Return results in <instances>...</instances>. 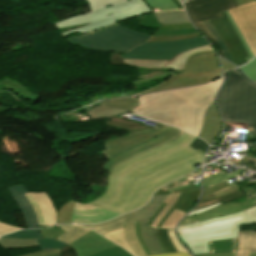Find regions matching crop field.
I'll return each mask as SVG.
<instances>
[{
	"label": "crop field",
	"instance_id": "1",
	"mask_svg": "<svg viewBox=\"0 0 256 256\" xmlns=\"http://www.w3.org/2000/svg\"><path fill=\"white\" fill-rule=\"evenodd\" d=\"M195 138L184 132L176 141L119 163L109 173L105 195L89 204L120 213L141 207L156 189L195 170L193 165L203 162L204 155L188 146Z\"/></svg>",
	"mask_w": 256,
	"mask_h": 256
},
{
	"label": "crop field",
	"instance_id": "2",
	"mask_svg": "<svg viewBox=\"0 0 256 256\" xmlns=\"http://www.w3.org/2000/svg\"><path fill=\"white\" fill-rule=\"evenodd\" d=\"M221 82L222 77L201 86L139 96L140 105L133 112L198 135L204 111Z\"/></svg>",
	"mask_w": 256,
	"mask_h": 256
},
{
	"label": "crop field",
	"instance_id": "3",
	"mask_svg": "<svg viewBox=\"0 0 256 256\" xmlns=\"http://www.w3.org/2000/svg\"><path fill=\"white\" fill-rule=\"evenodd\" d=\"M217 100L225 122L248 123V131L256 134V85L242 72L236 69L226 75Z\"/></svg>",
	"mask_w": 256,
	"mask_h": 256
},
{
	"label": "crop field",
	"instance_id": "4",
	"mask_svg": "<svg viewBox=\"0 0 256 256\" xmlns=\"http://www.w3.org/2000/svg\"><path fill=\"white\" fill-rule=\"evenodd\" d=\"M241 223H256V206L232 215L178 227V233L193 254L208 253L207 241L237 238Z\"/></svg>",
	"mask_w": 256,
	"mask_h": 256
},
{
	"label": "crop field",
	"instance_id": "5",
	"mask_svg": "<svg viewBox=\"0 0 256 256\" xmlns=\"http://www.w3.org/2000/svg\"><path fill=\"white\" fill-rule=\"evenodd\" d=\"M91 12L74 16L69 19L55 23L57 28L84 25L80 29L61 33L63 37L71 33L81 34L100 30L101 28L118 22L119 20L133 15L150 12V9L143 0H87Z\"/></svg>",
	"mask_w": 256,
	"mask_h": 256
},
{
	"label": "crop field",
	"instance_id": "6",
	"mask_svg": "<svg viewBox=\"0 0 256 256\" xmlns=\"http://www.w3.org/2000/svg\"><path fill=\"white\" fill-rule=\"evenodd\" d=\"M151 36L114 24L86 36L69 38L70 42L95 51H120L126 53L146 43Z\"/></svg>",
	"mask_w": 256,
	"mask_h": 256
},
{
	"label": "crop field",
	"instance_id": "7",
	"mask_svg": "<svg viewBox=\"0 0 256 256\" xmlns=\"http://www.w3.org/2000/svg\"><path fill=\"white\" fill-rule=\"evenodd\" d=\"M215 51L197 53L190 56L183 72L158 87L146 91L156 92L188 85L202 84L221 76Z\"/></svg>",
	"mask_w": 256,
	"mask_h": 256
},
{
	"label": "crop field",
	"instance_id": "8",
	"mask_svg": "<svg viewBox=\"0 0 256 256\" xmlns=\"http://www.w3.org/2000/svg\"><path fill=\"white\" fill-rule=\"evenodd\" d=\"M110 118L111 119L106 121V125L127 129L130 131V135L111 140L104 144L106 149L102 152L107 156L108 159H111L113 156H116L130 148L153 139L154 135L157 136L168 128H172L170 126H163L157 130L145 126H140L136 122L118 119L117 116Z\"/></svg>",
	"mask_w": 256,
	"mask_h": 256
},
{
	"label": "crop field",
	"instance_id": "9",
	"mask_svg": "<svg viewBox=\"0 0 256 256\" xmlns=\"http://www.w3.org/2000/svg\"><path fill=\"white\" fill-rule=\"evenodd\" d=\"M240 175V171L225 173L224 171L204 179V194L199 206L194 210L220 201L221 203L232 201L245 195L239 190L237 181L229 184L227 180ZM209 187V188H207Z\"/></svg>",
	"mask_w": 256,
	"mask_h": 256
},
{
	"label": "crop field",
	"instance_id": "10",
	"mask_svg": "<svg viewBox=\"0 0 256 256\" xmlns=\"http://www.w3.org/2000/svg\"><path fill=\"white\" fill-rule=\"evenodd\" d=\"M193 24L209 39L218 50L219 55L223 53L216 40L209 34L200 21L220 18L219 12L237 7L234 0H194L184 4Z\"/></svg>",
	"mask_w": 256,
	"mask_h": 256
},
{
	"label": "crop field",
	"instance_id": "11",
	"mask_svg": "<svg viewBox=\"0 0 256 256\" xmlns=\"http://www.w3.org/2000/svg\"><path fill=\"white\" fill-rule=\"evenodd\" d=\"M206 44L208 43L202 37L164 43H146L126 54H120L123 58L167 60L187 49Z\"/></svg>",
	"mask_w": 256,
	"mask_h": 256
},
{
	"label": "crop field",
	"instance_id": "12",
	"mask_svg": "<svg viewBox=\"0 0 256 256\" xmlns=\"http://www.w3.org/2000/svg\"><path fill=\"white\" fill-rule=\"evenodd\" d=\"M16 197L24 207L31 228H38V224L52 226L55 224L56 211L45 193H21Z\"/></svg>",
	"mask_w": 256,
	"mask_h": 256
},
{
	"label": "crop field",
	"instance_id": "13",
	"mask_svg": "<svg viewBox=\"0 0 256 256\" xmlns=\"http://www.w3.org/2000/svg\"><path fill=\"white\" fill-rule=\"evenodd\" d=\"M140 209L103 224L83 226L93 228L95 231L101 233L102 235L114 230L124 228L125 238L131 250L136 256H145L146 254L136 238L135 221L131 220Z\"/></svg>",
	"mask_w": 256,
	"mask_h": 256
},
{
	"label": "crop field",
	"instance_id": "14",
	"mask_svg": "<svg viewBox=\"0 0 256 256\" xmlns=\"http://www.w3.org/2000/svg\"><path fill=\"white\" fill-rule=\"evenodd\" d=\"M221 15L223 18L210 20L209 22L212 24L228 50L231 52L233 56V63H235L237 66H241L245 64L244 57H247L248 54L225 13L222 12Z\"/></svg>",
	"mask_w": 256,
	"mask_h": 256
},
{
	"label": "crop field",
	"instance_id": "15",
	"mask_svg": "<svg viewBox=\"0 0 256 256\" xmlns=\"http://www.w3.org/2000/svg\"><path fill=\"white\" fill-rule=\"evenodd\" d=\"M236 24L243 33L246 42L253 53L256 55V7L254 3L244 4L238 8L228 10Z\"/></svg>",
	"mask_w": 256,
	"mask_h": 256
},
{
	"label": "crop field",
	"instance_id": "16",
	"mask_svg": "<svg viewBox=\"0 0 256 256\" xmlns=\"http://www.w3.org/2000/svg\"><path fill=\"white\" fill-rule=\"evenodd\" d=\"M199 193H200V188L193 191L181 193L176 203L173 205V207L169 210V212L166 214V216L162 219V221L159 223L158 227L156 228L157 237L165 253L177 252V250L175 249V247L173 246V244L171 243L168 237L167 229H160L159 228L160 225L175 208L184 212H186L189 208H191L194 205V203L197 201Z\"/></svg>",
	"mask_w": 256,
	"mask_h": 256
},
{
	"label": "crop field",
	"instance_id": "17",
	"mask_svg": "<svg viewBox=\"0 0 256 256\" xmlns=\"http://www.w3.org/2000/svg\"><path fill=\"white\" fill-rule=\"evenodd\" d=\"M183 131H180L178 129H169L166 130L163 134L159 135L157 138L153 139L152 141H149L141 146L135 147L133 149H130L116 157H113L111 160H108L105 168L110 171L116 164L123 161L126 158H129L135 154H138L140 152L146 151L148 149L154 148L156 146H159L165 142H168L172 139H177Z\"/></svg>",
	"mask_w": 256,
	"mask_h": 256
},
{
	"label": "crop field",
	"instance_id": "18",
	"mask_svg": "<svg viewBox=\"0 0 256 256\" xmlns=\"http://www.w3.org/2000/svg\"><path fill=\"white\" fill-rule=\"evenodd\" d=\"M120 215L122 214L102 211L88 204L76 203L73 209L71 222L82 224H95Z\"/></svg>",
	"mask_w": 256,
	"mask_h": 256
},
{
	"label": "crop field",
	"instance_id": "19",
	"mask_svg": "<svg viewBox=\"0 0 256 256\" xmlns=\"http://www.w3.org/2000/svg\"><path fill=\"white\" fill-rule=\"evenodd\" d=\"M69 244L75 247L79 256H88L101 250L116 246L92 230Z\"/></svg>",
	"mask_w": 256,
	"mask_h": 256
},
{
	"label": "crop field",
	"instance_id": "20",
	"mask_svg": "<svg viewBox=\"0 0 256 256\" xmlns=\"http://www.w3.org/2000/svg\"><path fill=\"white\" fill-rule=\"evenodd\" d=\"M254 205H256L254 199L247 201V202L240 203V204L223 203L222 205H220L216 208H213L209 211H206L204 213L197 214L195 216L183 219L181 221V223L179 224V226L188 224V223H192V222H196V221L207 220V219H211V218H215V217H219V216H223V215H227V214H232L237 211H241V210L250 208Z\"/></svg>",
	"mask_w": 256,
	"mask_h": 256
},
{
	"label": "crop field",
	"instance_id": "21",
	"mask_svg": "<svg viewBox=\"0 0 256 256\" xmlns=\"http://www.w3.org/2000/svg\"><path fill=\"white\" fill-rule=\"evenodd\" d=\"M222 130V122L213 101L207 108L204 115V122L199 137L205 139L210 144L216 139Z\"/></svg>",
	"mask_w": 256,
	"mask_h": 256
},
{
	"label": "crop field",
	"instance_id": "22",
	"mask_svg": "<svg viewBox=\"0 0 256 256\" xmlns=\"http://www.w3.org/2000/svg\"><path fill=\"white\" fill-rule=\"evenodd\" d=\"M168 61L123 59L118 52H112L108 64H123L140 68H159L161 69Z\"/></svg>",
	"mask_w": 256,
	"mask_h": 256
},
{
	"label": "crop field",
	"instance_id": "23",
	"mask_svg": "<svg viewBox=\"0 0 256 256\" xmlns=\"http://www.w3.org/2000/svg\"><path fill=\"white\" fill-rule=\"evenodd\" d=\"M214 50L210 45L187 50L177 56H175L163 69H174L176 74L183 70L188 57L197 52Z\"/></svg>",
	"mask_w": 256,
	"mask_h": 256
},
{
	"label": "crop field",
	"instance_id": "24",
	"mask_svg": "<svg viewBox=\"0 0 256 256\" xmlns=\"http://www.w3.org/2000/svg\"><path fill=\"white\" fill-rule=\"evenodd\" d=\"M249 251H256V233L238 232V250L236 256H248Z\"/></svg>",
	"mask_w": 256,
	"mask_h": 256
},
{
	"label": "crop field",
	"instance_id": "25",
	"mask_svg": "<svg viewBox=\"0 0 256 256\" xmlns=\"http://www.w3.org/2000/svg\"><path fill=\"white\" fill-rule=\"evenodd\" d=\"M166 196H153L150 201L145 205L143 209H141L133 220H137L144 224L152 217L158 207L164 202Z\"/></svg>",
	"mask_w": 256,
	"mask_h": 256
},
{
	"label": "crop field",
	"instance_id": "26",
	"mask_svg": "<svg viewBox=\"0 0 256 256\" xmlns=\"http://www.w3.org/2000/svg\"><path fill=\"white\" fill-rule=\"evenodd\" d=\"M141 233L152 255L164 253L159 245L154 228L141 223Z\"/></svg>",
	"mask_w": 256,
	"mask_h": 256
},
{
	"label": "crop field",
	"instance_id": "27",
	"mask_svg": "<svg viewBox=\"0 0 256 256\" xmlns=\"http://www.w3.org/2000/svg\"><path fill=\"white\" fill-rule=\"evenodd\" d=\"M154 14L155 17L158 19V22H160L161 24H175L188 22V19L183 10L160 12Z\"/></svg>",
	"mask_w": 256,
	"mask_h": 256
},
{
	"label": "crop field",
	"instance_id": "28",
	"mask_svg": "<svg viewBox=\"0 0 256 256\" xmlns=\"http://www.w3.org/2000/svg\"><path fill=\"white\" fill-rule=\"evenodd\" d=\"M208 245L209 253L236 252L237 239L211 241Z\"/></svg>",
	"mask_w": 256,
	"mask_h": 256
},
{
	"label": "crop field",
	"instance_id": "29",
	"mask_svg": "<svg viewBox=\"0 0 256 256\" xmlns=\"http://www.w3.org/2000/svg\"><path fill=\"white\" fill-rule=\"evenodd\" d=\"M87 115L92 119H100L103 117L115 116L117 114H122L128 112V110L119 109V108H112V107H105V106H96L90 110H87Z\"/></svg>",
	"mask_w": 256,
	"mask_h": 256
},
{
	"label": "crop field",
	"instance_id": "30",
	"mask_svg": "<svg viewBox=\"0 0 256 256\" xmlns=\"http://www.w3.org/2000/svg\"><path fill=\"white\" fill-rule=\"evenodd\" d=\"M12 79V78H11ZM7 77H5L4 81H0V84H5V89H9V90H13L17 93H19L23 98L27 99V100H31L36 102V100L40 97L37 96L35 94H32L27 88L23 87L22 85H20L19 83L11 80Z\"/></svg>",
	"mask_w": 256,
	"mask_h": 256
},
{
	"label": "crop field",
	"instance_id": "31",
	"mask_svg": "<svg viewBox=\"0 0 256 256\" xmlns=\"http://www.w3.org/2000/svg\"><path fill=\"white\" fill-rule=\"evenodd\" d=\"M55 227L62 228L66 233L57 239L64 241L66 243L78 238L85 232L89 231V229L73 226V225H56Z\"/></svg>",
	"mask_w": 256,
	"mask_h": 256
},
{
	"label": "crop field",
	"instance_id": "32",
	"mask_svg": "<svg viewBox=\"0 0 256 256\" xmlns=\"http://www.w3.org/2000/svg\"><path fill=\"white\" fill-rule=\"evenodd\" d=\"M0 245L4 248H23V247L38 246L35 239L27 240V239H8V238H1Z\"/></svg>",
	"mask_w": 256,
	"mask_h": 256
},
{
	"label": "crop field",
	"instance_id": "33",
	"mask_svg": "<svg viewBox=\"0 0 256 256\" xmlns=\"http://www.w3.org/2000/svg\"><path fill=\"white\" fill-rule=\"evenodd\" d=\"M99 105H113V106H118L122 108H129L132 110L139 105V101H138V98H122V99L103 102Z\"/></svg>",
	"mask_w": 256,
	"mask_h": 256
},
{
	"label": "crop field",
	"instance_id": "34",
	"mask_svg": "<svg viewBox=\"0 0 256 256\" xmlns=\"http://www.w3.org/2000/svg\"><path fill=\"white\" fill-rule=\"evenodd\" d=\"M74 204H75V201L71 200L61 206V208L58 211L57 224L67 223V222L70 223L72 208Z\"/></svg>",
	"mask_w": 256,
	"mask_h": 256
},
{
	"label": "crop field",
	"instance_id": "35",
	"mask_svg": "<svg viewBox=\"0 0 256 256\" xmlns=\"http://www.w3.org/2000/svg\"><path fill=\"white\" fill-rule=\"evenodd\" d=\"M155 11L179 9L172 0H146Z\"/></svg>",
	"mask_w": 256,
	"mask_h": 256
},
{
	"label": "crop field",
	"instance_id": "36",
	"mask_svg": "<svg viewBox=\"0 0 256 256\" xmlns=\"http://www.w3.org/2000/svg\"><path fill=\"white\" fill-rule=\"evenodd\" d=\"M41 250L45 249H61L67 244L53 239H36Z\"/></svg>",
	"mask_w": 256,
	"mask_h": 256
},
{
	"label": "crop field",
	"instance_id": "37",
	"mask_svg": "<svg viewBox=\"0 0 256 256\" xmlns=\"http://www.w3.org/2000/svg\"><path fill=\"white\" fill-rule=\"evenodd\" d=\"M192 209V208H191ZM190 209V210H191ZM188 210L187 212H189ZM186 212V213H187ZM186 213L180 212L178 210H174L167 219L163 222L160 228H174L175 224L179 219H181Z\"/></svg>",
	"mask_w": 256,
	"mask_h": 256
},
{
	"label": "crop field",
	"instance_id": "38",
	"mask_svg": "<svg viewBox=\"0 0 256 256\" xmlns=\"http://www.w3.org/2000/svg\"><path fill=\"white\" fill-rule=\"evenodd\" d=\"M202 24L205 26V28L210 32V34L217 40V42L219 43L220 47L223 50V53L225 55V58L229 61L230 58L232 57L230 52L227 50V48L225 47V45L223 44V42L221 41V37L219 38V34L217 35V31L215 32V30L213 29V27L211 26V24L208 21H204L202 22Z\"/></svg>",
	"mask_w": 256,
	"mask_h": 256
},
{
	"label": "crop field",
	"instance_id": "39",
	"mask_svg": "<svg viewBox=\"0 0 256 256\" xmlns=\"http://www.w3.org/2000/svg\"><path fill=\"white\" fill-rule=\"evenodd\" d=\"M106 238L119 243L120 245H122L124 248H126L128 251H130L132 253V251L129 249V247L127 246L126 242H125V238H124V233H123V229L122 230H118V231H114L111 232L109 234L104 235ZM118 244V245H119ZM133 254V253H132ZM134 255V254H133Z\"/></svg>",
	"mask_w": 256,
	"mask_h": 256
},
{
	"label": "crop field",
	"instance_id": "40",
	"mask_svg": "<svg viewBox=\"0 0 256 256\" xmlns=\"http://www.w3.org/2000/svg\"><path fill=\"white\" fill-rule=\"evenodd\" d=\"M90 256H132L126 250L116 246Z\"/></svg>",
	"mask_w": 256,
	"mask_h": 256
},
{
	"label": "crop field",
	"instance_id": "41",
	"mask_svg": "<svg viewBox=\"0 0 256 256\" xmlns=\"http://www.w3.org/2000/svg\"><path fill=\"white\" fill-rule=\"evenodd\" d=\"M4 237L39 238L42 236L39 230H23L20 232L8 234Z\"/></svg>",
	"mask_w": 256,
	"mask_h": 256
},
{
	"label": "crop field",
	"instance_id": "42",
	"mask_svg": "<svg viewBox=\"0 0 256 256\" xmlns=\"http://www.w3.org/2000/svg\"><path fill=\"white\" fill-rule=\"evenodd\" d=\"M200 37L198 33L191 34V35H183V36H173V37H156L151 38L148 42H163V41H172V40H182V39H189Z\"/></svg>",
	"mask_w": 256,
	"mask_h": 256
},
{
	"label": "crop field",
	"instance_id": "43",
	"mask_svg": "<svg viewBox=\"0 0 256 256\" xmlns=\"http://www.w3.org/2000/svg\"><path fill=\"white\" fill-rule=\"evenodd\" d=\"M179 193L174 194L172 199L169 201L167 206L164 208V210L161 212V214L158 216V218L155 220V222L152 224V227L156 228L158 223L161 221V219L164 217V215L167 213V211L171 208V206L175 203Z\"/></svg>",
	"mask_w": 256,
	"mask_h": 256
},
{
	"label": "crop field",
	"instance_id": "44",
	"mask_svg": "<svg viewBox=\"0 0 256 256\" xmlns=\"http://www.w3.org/2000/svg\"><path fill=\"white\" fill-rule=\"evenodd\" d=\"M173 74H174L173 72L168 71V72H165V73H162V74H159V75H155V76H152V77H148V78H145V79L132 81V83H134L135 85H139V84L147 83V82H150V81H153V80L168 77V76H171Z\"/></svg>",
	"mask_w": 256,
	"mask_h": 256
},
{
	"label": "crop field",
	"instance_id": "45",
	"mask_svg": "<svg viewBox=\"0 0 256 256\" xmlns=\"http://www.w3.org/2000/svg\"><path fill=\"white\" fill-rule=\"evenodd\" d=\"M9 190H10V192H11L13 198L17 201V203H18V205H19V207H20V209H21V211H22V213H23V215H24V218H25V222H26L27 227L30 228V227H29V224H28V220H27L26 214H25V212H24V210H23V208H22L20 202H19V201L17 200V198L14 196L15 193L27 192L26 189L24 188V186H19V187L9 188Z\"/></svg>",
	"mask_w": 256,
	"mask_h": 256
},
{
	"label": "crop field",
	"instance_id": "46",
	"mask_svg": "<svg viewBox=\"0 0 256 256\" xmlns=\"http://www.w3.org/2000/svg\"><path fill=\"white\" fill-rule=\"evenodd\" d=\"M43 237H54L57 238L58 236H60L61 234L65 233L63 230L59 229V228H50V229H42L40 230Z\"/></svg>",
	"mask_w": 256,
	"mask_h": 256
},
{
	"label": "crop field",
	"instance_id": "47",
	"mask_svg": "<svg viewBox=\"0 0 256 256\" xmlns=\"http://www.w3.org/2000/svg\"><path fill=\"white\" fill-rule=\"evenodd\" d=\"M226 14H227L229 20L231 21L232 25L234 26L235 30L237 31L239 37L241 38V40H242V42H243V44H244L246 50L248 51V53H249V55H250V57L245 58V60H246V62H247V61H249L250 59H252V58H254V57H253V55L251 54V52H250V50H249V48H248V46H247V44H246V42H245V40H244V38H243V36H242V34H241L239 28H238L237 25L235 24L234 20L232 19V17H231L230 14H229V12L226 11Z\"/></svg>",
	"mask_w": 256,
	"mask_h": 256
},
{
	"label": "crop field",
	"instance_id": "48",
	"mask_svg": "<svg viewBox=\"0 0 256 256\" xmlns=\"http://www.w3.org/2000/svg\"><path fill=\"white\" fill-rule=\"evenodd\" d=\"M189 146L194 148L195 150L199 151L202 154H205V152H206V150L208 148L207 143L202 141V140H200V139H198V138L196 140H194V143L189 145Z\"/></svg>",
	"mask_w": 256,
	"mask_h": 256
},
{
	"label": "crop field",
	"instance_id": "49",
	"mask_svg": "<svg viewBox=\"0 0 256 256\" xmlns=\"http://www.w3.org/2000/svg\"><path fill=\"white\" fill-rule=\"evenodd\" d=\"M168 233H169V237L172 241V243L174 244V246L176 247V249L178 250V252H186L187 251L181 246V244L177 241L176 235L174 233V229H168Z\"/></svg>",
	"mask_w": 256,
	"mask_h": 256
},
{
	"label": "crop field",
	"instance_id": "50",
	"mask_svg": "<svg viewBox=\"0 0 256 256\" xmlns=\"http://www.w3.org/2000/svg\"><path fill=\"white\" fill-rule=\"evenodd\" d=\"M59 250H45V251H39L32 254H28L26 256H58Z\"/></svg>",
	"mask_w": 256,
	"mask_h": 256
},
{
	"label": "crop field",
	"instance_id": "51",
	"mask_svg": "<svg viewBox=\"0 0 256 256\" xmlns=\"http://www.w3.org/2000/svg\"><path fill=\"white\" fill-rule=\"evenodd\" d=\"M239 185L242 188L240 190L243 193H245L247 191L255 190V187H254L255 184H251L248 179L240 181Z\"/></svg>",
	"mask_w": 256,
	"mask_h": 256
},
{
	"label": "crop field",
	"instance_id": "52",
	"mask_svg": "<svg viewBox=\"0 0 256 256\" xmlns=\"http://www.w3.org/2000/svg\"><path fill=\"white\" fill-rule=\"evenodd\" d=\"M136 232H137V237H138V241L140 242V244L142 245L144 251L147 253V255H151L146 244L144 243L141 233H140V223L136 221Z\"/></svg>",
	"mask_w": 256,
	"mask_h": 256
},
{
	"label": "crop field",
	"instance_id": "53",
	"mask_svg": "<svg viewBox=\"0 0 256 256\" xmlns=\"http://www.w3.org/2000/svg\"><path fill=\"white\" fill-rule=\"evenodd\" d=\"M17 230H21V229L0 223V236L17 231Z\"/></svg>",
	"mask_w": 256,
	"mask_h": 256
},
{
	"label": "crop field",
	"instance_id": "54",
	"mask_svg": "<svg viewBox=\"0 0 256 256\" xmlns=\"http://www.w3.org/2000/svg\"><path fill=\"white\" fill-rule=\"evenodd\" d=\"M60 256H77V255L74 248L68 245L60 250Z\"/></svg>",
	"mask_w": 256,
	"mask_h": 256
},
{
	"label": "crop field",
	"instance_id": "55",
	"mask_svg": "<svg viewBox=\"0 0 256 256\" xmlns=\"http://www.w3.org/2000/svg\"><path fill=\"white\" fill-rule=\"evenodd\" d=\"M225 124H227V125H240V126L244 127L245 129H246V126H247V124H239V123H225ZM246 130H247V129H246ZM247 132H248V131H247ZM255 139H256V135H252V134H250V133L248 132L247 135H246L245 141L255 140Z\"/></svg>",
	"mask_w": 256,
	"mask_h": 256
},
{
	"label": "crop field",
	"instance_id": "56",
	"mask_svg": "<svg viewBox=\"0 0 256 256\" xmlns=\"http://www.w3.org/2000/svg\"><path fill=\"white\" fill-rule=\"evenodd\" d=\"M221 61V64H222V67L224 69V73H227L229 72L230 70L236 68L234 65H232L231 63L227 62V61H224L222 59H220Z\"/></svg>",
	"mask_w": 256,
	"mask_h": 256
},
{
	"label": "crop field",
	"instance_id": "57",
	"mask_svg": "<svg viewBox=\"0 0 256 256\" xmlns=\"http://www.w3.org/2000/svg\"><path fill=\"white\" fill-rule=\"evenodd\" d=\"M243 72H245L251 80H256V68L244 70Z\"/></svg>",
	"mask_w": 256,
	"mask_h": 256
},
{
	"label": "crop field",
	"instance_id": "58",
	"mask_svg": "<svg viewBox=\"0 0 256 256\" xmlns=\"http://www.w3.org/2000/svg\"><path fill=\"white\" fill-rule=\"evenodd\" d=\"M220 204H221V203H220V202H218V203L213 204V205H210V206H208V207H205V208H202V209L196 210V211L192 212V213H191L190 215H188V216L195 215V214H197V213H200V212L206 211V210L211 209V208H213V207H216V206H218V205H220Z\"/></svg>",
	"mask_w": 256,
	"mask_h": 256
},
{
	"label": "crop field",
	"instance_id": "59",
	"mask_svg": "<svg viewBox=\"0 0 256 256\" xmlns=\"http://www.w3.org/2000/svg\"><path fill=\"white\" fill-rule=\"evenodd\" d=\"M235 253H227V254H197L195 256H234Z\"/></svg>",
	"mask_w": 256,
	"mask_h": 256
},
{
	"label": "crop field",
	"instance_id": "60",
	"mask_svg": "<svg viewBox=\"0 0 256 256\" xmlns=\"http://www.w3.org/2000/svg\"><path fill=\"white\" fill-rule=\"evenodd\" d=\"M251 67H256V58L253 59L250 63H248L247 65L241 67V70L243 69H247V68H251Z\"/></svg>",
	"mask_w": 256,
	"mask_h": 256
},
{
	"label": "crop field",
	"instance_id": "61",
	"mask_svg": "<svg viewBox=\"0 0 256 256\" xmlns=\"http://www.w3.org/2000/svg\"><path fill=\"white\" fill-rule=\"evenodd\" d=\"M154 256H190L186 253H173V254H160V255H154Z\"/></svg>",
	"mask_w": 256,
	"mask_h": 256
},
{
	"label": "crop field",
	"instance_id": "62",
	"mask_svg": "<svg viewBox=\"0 0 256 256\" xmlns=\"http://www.w3.org/2000/svg\"><path fill=\"white\" fill-rule=\"evenodd\" d=\"M237 5H241V4H244V3H247V2H251V1H255V0H235Z\"/></svg>",
	"mask_w": 256,
	"mask_h": 256
},
{
	"label": "crop field",
	"instance_id": "63",
	"mask_svg": "<svg viewBox=\"0 0 256 256\" xmlns=\"http://www.w3.org/2000/svg\"><path fill=\"white\" fill-rule=\"evenodd\" d=\"M240 161H242V162H246V163H248L249 161H254V162H256V160L255 159H248V158H242Z\"/></svg>",
	"mask_w": 256,
	"mask_h": 256
},
{
	"label": "crop field",
	"instance_id": "64",
	"mask_svg": "<svg viewBox=\"0 0 256 256\" xmlns=\"http://www.w3.org/2000/svg\"><path fill=\"white\" fill-rule=\"evenodd\" d=\"M255 166H256V165H251V164H249L248 166H246V168L253 170V168H254Z\"/></svg>",
	"mask_w": 256,
	"mask_h": 256
},
{
	"label": "crop field",
	"instance_id": "65",
	"mask_svg": "<svg viewBox=\"0 0 256 256\" xmlns=\"http://www.w3.org/2000/svg\"><path fill=\"white\" fill-rule=\"evenodd\" d=\"M232 163L236 164L238 161L235 160L234 158L230 160Z\"/></svg>",
	"mask_w": 256,
	"mask_h": 256
},
{
	"label": "crop field",
	"instance_id": "66",
	"mask_svg": "<svg viewBox=\"0 0 256 256\" xmlns=\"http://www.w3.org/2000/svg\"><path fill=\"white\" fill-rule=\"evenodd\" d=\"M249 256H256V252H250Z\"/></svg>",
	"mask_w": 256,
	"mask_h": 256
},
{
	"label": "crop field",
	"instance_id": "67",
	"mask_svg": "<svg viewBox=\"0 0 256 256\" xmlns=\"http://www.w3.org/2000/svg\"><path fill=\"white\" fill-rule=\"evenodd\" d=\"M255 201H256V197H255Z\"/></svg>",
	"mask_w": 256,
	"mask_h": 256
},
{
	"label": "crop field",
	"instance_id": "68",
	"mask_svg": "<svg viewBox=\"0 0 256 256\" xmlns=\"http://www.w3.org/2000/svg\"><path fill=\"white\" fill-rule=\"evenodd\" d=\"M22 256H25V255H22Z\"/></svg>",
	"mask_w": 256,
	"mask_h": 256
},
{
	"label": "crop field",
	"instance_id": "69",
	"mask_svg": "<svg viewBox=\"0 0 256 256\" xmlns=\"http://www.w3.org/2000/svg\"><path fill=\"white\" fill-rule=\"evenodd\" d=\"M255 4H256V1H255Z\"/></svg>",
	"mask_w": 256,
	"mask_h": 256
},
{
	"label": "crop field",
	"instance_id": "70",
	"mask_svg": "<svg viewBox=\"0 0 256 256\" xmlns=\"http://www.w3.org/2000/svg\"><path fill=\"white\" fill-rule=\"evenodd\" d=\"M256 82V81H255Z\"/></svg>",
	"mask_w": 256,
	"mask_h": 256
},
{
	"label": "crop field",
	"instance_id": "71",
	"mask_svg": "<svg viewBox=\"0 0 256 256\" xmlns=\"http://www.w3.org/2000/svg\"><path fill=\"white\" fill-rule=\"evenodd\" d=\"M256 186V185H255Z\"/></svg>",
	"mask_w": 256,
	"mask_h": 256
}]
</instances>
